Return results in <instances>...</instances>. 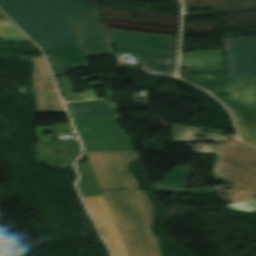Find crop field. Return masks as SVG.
Wrapping results in <instances>:
<instances>
[{
    "instance_id": "dafd665d",
    "label": "crop field",
    "mask_w": 256,
    "mask_h": 256,
    "mask_svg": "<svg viewBox=\"0 0 256 256\" xmlns=\"http://www.w3.org/2000/svg\"><path fill=\"white\" fill-rule=\"evenodd\" d=\"M62 85L58 83V87L60 89V92L63 96L64 101H71V100H83V99H95L99 98V96L96 94V92L93 90V88L80 93H74V89L72 84L69 82L67 77L61 78Z\"/></svg>"
},
{
    "instance_id": "00972430",
    "label": "crop field",
    "mask_w": 256,
    "mask_h": 256,
    "mask_svg": "<svg viewBox=\"0 0 256 256\" xmlns=\"http://www.w3.org/2000/svg\"><path fill=\"white\" fill-rule=\"evenodd\" d=\"M204 130H182L180 128L172 127V133H182L177 135H182V138H175L173 136V142H181V141H213L218 143L228 137L218 135V134H209L208 140L196 139L198 134H203Z\"/></svg>"
},
{
    "instance_id": "5142ce71",
    "label": "crop field",
    "mask_w": 256,
    "mask_h": 256,
    "mask_svg": "<svg viewBox=\"0 0 256 256\" xmlns=\"http://www.w3.org/2000/svg\"><path fill=\"white\" fill-rule=\"evenodd\" d=\"M182 65L197 72L226 70L224 50L183 53Z\"/></svg>"
},
{
    "instance_id": "34b2d1b8",
    "label": "crop field",
    "mask_w": 256,
    "mask_h": 256,
    "mask_svg": "<svg viewBox=\"0 0 256 256\" xmlns=\"http://www.w3.org/2000/svg\"><path fill=\"white\" fill-rule=\"evenodd\" d=\"M118 121V116L73 120L86 152L133 150Z\"/></svg>"
},
{
    "instance_id": "ac0d7876",
    "label": "crop field",
    "mask_w": 256,
    "mask_h": 256,
    "mask_svg": "<svg viewBox=\"0 0 256 256\" xmlns=\"http://www.w3.org/2000/svg\"><path fill=\"white\" fill-rule=\"evenodd\" d=\"M181 77L212 93H231L218 97L231 111H256V77L226 76L224 72Z\"/></svg>"
},
{
    "instance_id": "a9b5d70f",
    "label": "crop field",
    "mask_w": 256,
    "mask_h": 256,
    "mask_svg": "<svg viewBox=\"0 0 256 256\" xmlns=\"http://www.w3.org/2000/svg\"><path fill=\"white\" fill-rule=\"evenodd\" d=\"M73 130L70 123L54 124V126L35 127L36 138H40L39 143L51 144L55 131ZM43 132H51L43 135Z\"/></svg>"
},
{
    "instance_id": "214f88e0",
    "label": "crop field",
    "mask_w": 256,
    "mask_h": 256,
    "mask_svg": "<svg viewBox=\"0 0 256 256\" xmlns=\"http://www.w3.org/2000/svg\"><path fill=\"white\" fill-rule=\"evenodd\" d=\"M81 180L78 182L82 196L103 195L89 163L76 164Z\"/></svg>"
},
{
    "instance_id": "dd49c442",
    "label": "crop field",
    "mask_w": 256,
    "mask_h": 256,
    "mask_svg": "<svg viewBox=\"0 0 256 256\" xmlns=\"http://www.w3.org/2000/svg\"><path fill=\"white\" fill-rule=\"evenodd\" d=\"M130 256H149L123 191H102Z\"/></svg>"
},
{
    "instance_id": "92a150f3",
    "label": "crop field",
    "mask_w": 256,
    "mask_h": 256,
    "mask_svg": "<svg viewBox=\"0 0 256 256\" xmlns=\"http://www.w3.org/2000/svg\"><path fill=\"white\" fill-rule=\"evenodd\" d=\"M117 160L118 166L124 178L125 184L128 190H140L133 175L129 173L127 167L130 162L134 159H138L136 151H123V152H113Z\"/></svg>"
},
{
    "instance_id": "3316defc",
    "label": "crop field",
    "mask_w": 256,
    "mask_h": 256,
    "mask_svg": "<svg viewBox=\"0 0 256 256\" xmlns=\"http://www.w3.org/2000/svg\"><path fill=\"white\" fill-rule=\"evenodd\" d=\"M140 232L145 246L150 256H160L156 239L150 229L154 219V208L144 191H124Z\"/></svg>"
},
{
    "instance_id": "412701ff",
    "label": "crop field",
    "mask_w": 256,
    "mask_h": 256,
    "mask_svg": "<svg viewBox=\"0 0 256 256\" xmlns=\"http://www.w3.org/2000/svg\"><path fill=\"white\" fill-rule=\"evenodd\" d=\"M14 21L41 48L80 45L67 17Z\"/></svg>"
},
{
    "instance_id": "5a996713",
    "label": "crop field",
    "mask_w": 256,
    "mask_h": 256,
    "mask_svg": "<svg viewBox=\"0 0 256 256\" xmlns=\"http://www.w3.org/2000/svg\"><path fill=\"white\" fill-rule=\"evenodd\" d=\"M113 256H129L103 196L83 197Z\"/></svg>"
},
{
    "instance_id": "730fd06b",
    "label": "crop field",
    "mask_w": 256,
    "mask_h": 256,
    "mask_svg": "<svg viewBox=\"0 0 256 256\" xmlns=\"http://www.w3.org/2000/svg\"><path fill=\"white\" fill-rule=\"evenodd\" d=\"M235 188L225 191L224 193L229 194L227 198L232 201H239L243 199H248L254 197L250 192H248L245 188H243L238 183L233 185Z\"/></svg>"
},
{
    "instance_id": "d3111659",
    "label": "crop field",
    "mask_w": 256,
    "mask_h": 256,
    "mask_svg": "<svg viewBox=\"0 0 256 256\" xmlns=\"http://www.w3.org/2000/svg\"><path fill=\"white\" fill-rule=\"evenodd\" d=\"M190 150L193 152H215V145L203 144L202 149L191 148Z\"/></svg>"
},
{
    "instance_id": "d9b57169",
    "label": "crop field",
    "mask_w": 256,
    "mask_h": 256,
    "mask_svg": "<svg viewBox=\"0 0 256 256\" xmlns=\"http://www.w3.org/2000/svg\"><path fill=\"white\" fill-rule=\"evenodd\" d=\"M193 172L189 165H177L160 183L151 185L154 190L170 193H216L210 187L187 190L185 179Z\"/></svg>"
},
{
    "instance_id": "e52e79f7",
    "label": "crop field",
    "mask_w": 256,
    "mask_h": 256,
    "mask_svg": "<svg viewBox=\"0 0 256 256\" xmlns=\"http://www.w3.org/2000/svg\"><path fill=\"white\" fill-rule=\"evenodd\" d=\"M227 73L256 75V38L225 39Z\"/></svg>"
},
{
    "instance_id": "d1516ede",
    "label": "crop field",
    "mask_w": 256,
    "mask_h": 256,
    "mask_svg": "<svg viewBox=\"0 0 256 256\" xmlns=\"http://www.w3.org/2000/svg\"><path fill=\"white\" fill-rule=\"evenodd\" d=\"M118 52L137 54L151 72L173 74L175 53L116 46Z\"/></svg>"
},
{
    "instance_id": "22f410ed",
    "label": "crop field",
    "mask_w": 256,
    "mask_h": 256,
    "mask_svg": "<svg viewBox=\"0 0 256 256\" xmlns=\"http://www.w3.org/2000/svg\"><path fill=\"white\" fill-rule=\"evenodd\" d=\"M111 42L119 45L175 52L176 39L106 31Z\"/></svg>"
},
{
    "instance_id": "cbeb9de0",
    "label": "crop field",
    "mask_w": 256,
    "mask_h": 256,
    "mask_svg": "<svg viewBox=\"0 0 256 256\" xmlns=\"http://www.w3.org/2000/svg\"><path fill=\"white\" fill-rule=\"evenodd\" d=\"M53 70L66 74L65 70L85 66L86 55L81 46L43 49ZM51 69V70H52Z\"/></svg>"
},
{
    "instance_id": "eef30255",
    "label": "crop field",
    "mask_w": 256,
    "mask_h": 256,
    "mask_svg": "<svg viewBox=\"0 0 256 256\" xmlns=\"http://www.w3.org/2000/svg\"><path fill=\"white\" fill-rule=\"evenodd\" d=\"M227 206L233 210H239V211H244L247 213H253V212H256V198L247 200V201H243V202L230 204ZM233 206H236V208H233Z\"/></svg>"
},
{
    "instance_id": "733c2abd",
    "label": "crop field",
    "mask_w": 256,
    "mask_h": 256,
    "mask_svg": "<svg viewBox=\"0 0 256 256\" xmlns=\"http://www.w3.org/2000/svg\"><path fill=\"white\" fill-rule=\"evenodd\" d=\"M72 119L118 115L115 103L104 100L65 103Z\"/></svg>"
},
{
    "instance_id": "d8731c3e",
    "label": "crop field",
    "mask_w": 256,
    "mask_h": 256,
    "mask_svg": "<svg viewBox=\"0 0 256 256\" xmlns=\"http://www.w3.org/2000/svg\"><path fill=\"white\" fill-rule=\"evenodd\" d=\"M31 61L34 66L32 78L39 113L63 112L44 58L32 57Z\"/></svg>"
},
{
    "instance_id": "bd1437ed",
    "label": "crop field",
    "mask_w": 256,
    "mask_h": 256,
    "mask_svg": "<svg viewBox=\"0 0 256 256\" xmlns=\"http://www.w3.org/2000/svg\"><path fill=\"white\" fill-rule=\"evenodd\" d=\"M107 93H108V98H112L111 84H108Z\"/></svg>"
},
{
    "instance_id": "750c4746",
    "label": "crop field",
    "mask_w": 256,
    "mask_h": 256,
    "mask_svg": "<svg viewBox=\"0 0 256 256\" xmlns=\"http://www.w3.org/2000/svg\"><path fill=\"white\" fill-rule=\"evenodd\" d=\"M80 74H88V73L82 72V73L78 74V77L84 79V83H86L85 81L90 80V79L95 78V77L100 78V76H93V75H90V74H88V75L91 76L90 78H88V77H81V76H79ZM86 84H88V86H90V87H96V86L102 85V82H93V83H86Z\"/></svg>"
},
{
    "instance_id": "4a817a6b",
    "label": "crop field",
    "mask_w": 256,
    "mask_h": 256,
    "mask_svg": "<svg viewBox=\"0 0 256 256\" xmlns=\"http://www.w3.org/2000/svg\"><path fill=\"white\" fill-rule=\"evenodd\" d=\"M68 18L81 45L106 42L94 15L70 16Z\"/></svg>"
},
{
    "instance_id": "ae1a2a85",
    "label": "crop field",
    "mask_w": 256,
    "mask_h": 256,
    "mask_svg": "<svg viewBox=\"0 0 256 256\" xmlns=\"http://www.w3.org/2000/svg\"><path fill=\"white\" fill-rule=\"evenodd\" d=\"M87 56L92 55H107L109 53V47L107 44L82 46Z\"/></svg>"
},
{
    "instance_id": "28ad6ade",
    "label": "crop field",
    "mask_w": 256,
    "mask_h": 256,
    "mask_svg": "<svg viewBox=\"0 0 256 256\" xmlns=\"http://www.w3.org/2000/svg\"><path fill=\"white\" fill-rule=\"evenodd\" d=\"M86 154L102 190L126 187L112 152Z\"/></svg>"
},
{
    "instance_id": "bc2a9ffb",
    "label": "crop field",
    "mask_w": 256,
    "mask_h": 256,
    "mask_svg": "<svg viewBox=\"0 0 256 256\" xmlns=\"http://www.w3.org/2000/svg\"><path fill=\"white\" fill-rule=\"evenodd\" d=\"M244 141L256 146V112H233Z\"/></svg>"
},
{
    "instance_id": "4177f3b9",
    "label": "crop field",
    "mask_w": 256,
    "mask_h": 256,
    "mask_svg": "<svg viewBox=\"0 0 256 256\" xmlns=\"http://www.w3.org/2000/svg\"><path fill=\"white\" fill-rule=\"evenodd\" d=\"M0 37L3 40H29L9 20H0Z\"/></svg>"
},
{
    "instance_id": "f4fd0767",
    "label": "crop field",
    "mask_w": 256,
    "mask_h": 256,
    "mask_svg": "<svg viewBox=\"0 0 256 256\" xmlns=\"http://www.w3.org/2000/svg\"><path fill=\"white\" fill-rule=\"evenodd\" d=\"M0 8L12 19L94 13L78 0H0Z\"/></svg>"
},
{
    "instance_id": "1d83c4d3",
    "label": "crop field",
    "mask_w": 256,
    "mask_h": 256,
    "mask_svg": "<svg viewBox=\"0 0 256 256\" xmlns=\"http://www.w3.org/2000/svg\"><path fill=\"white\" fill-rule=\"evenodd\" d=\"M0 19H7L3 15L0 14Z\"/></svg>"
},
{
    "instance_id": "8a807250",
    "label": "crop field",
    "mask_w": 256,
    "mask_h": 256,
    "mask_svg": "<svg viewBox=\"0 0 256 256\" xmlns=\"http://www.w3.org/2000/svg\"><path fill=\"white\" fill-rule=\"evenodd\" d=\"M216 153V177L231 185L238 182L256 196V149L230 139L217 145Z\"/></svg>"
}]
</instances>
